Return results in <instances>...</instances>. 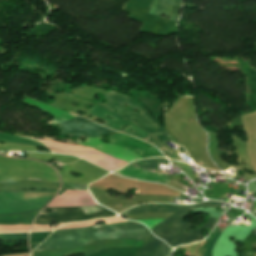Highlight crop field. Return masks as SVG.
<instances>
[{"label": "crop field", "instance_id": "crop-field-9", "mask_svg": "<svg viewBox=\"0 0 256 256\" xmlns=\"http://www.w3.org/2000/svg\"><path fill=\"white\" fill-rule=\"evenodd\" d=\"M183 206L178 205H172V204H146V205H140L135 208H132L125 213L121 214H133V213H140V212H156V211H165V212H172L175 213L179 209H181Z\"/></svg>", "mask_w": 256, "mask_h": 256}, {"label": "crop field", "instance_id": "crop-field-7", "mask_svg": "<svg viewBox=\"0 0 256 256\" xmlns=\"http://www.w3.org/2000/svg\"><path fill=\"white\" fill-rule=\"evenodd\" d=\"M180 9L181 0H154L149 13L159 17L164 13L176 21Z\"/></svg>", "mask_w": 256, "mask_h": 256}, {"label": "crop field", "instance_id": "crop-field-18", "mask_svg": "<svg viewBox=\"0 0 256 256\" xmlns=\"http://www.w3.org/2000/svg\"><path fill=\"white\" fill-rule=\"evenodd\" d=\"M28 233L0 234V239L4 241L27 240Z\"/></svg>", "mask_w": 256, "mask_h": 256}, {"label": "crop field", "instance_id": "crop-field-3", "mask_svg": "<svg viewBox=\"0 0 256 256\" xmlns=\"http://www.w3.org/2000/svg\"><path fill=\"white\" fill-rule=\"evenodd\" d=\"M58 126L61 129L60 134H69L71 136L96 137V136H108L113 133H116L101 125H98L90 120H87L79 116L74 117L70 120H67L59 124ZM80 126H84L85 128L80 129L79 128ZM109 137L111 138L110 143L138 157H141V158H149V157H155V156L164 157L157 149L129 135L117 133ZM109 155L115 156L121 160L128 161V162L135 161L134 158L118 156L113 154H109Z\"/></svg>", "mask_w": 256, "mask_h": 256}, {"label": "crop field", "instance_id": "crop-field-21", "mask_svg": "<svg viewBox=\"0 0 256 256\" xmlns=\"http://www.w3.org/2000/svg\"><path fill=\"white\" fill-rule=\"evenodd\" d=\"M162 220H139V222L144 223L150 230Z\"/></svg>", "mask_w": 256, "mask_h": 256}, {"label": "crop field", "instance_id": "crop-field-11", "mask_svg": "<svg viewBox=\"0 0 256 256\" xmlns=\"http://www.w3.org/2000/svg\"><path fill=\"white\" fill-rule=\"evenodd\" d=\"M40 210L11 216H0V224L31 223Z\"/></svg>", "mask_w": 256, "mask_h": 256}, {"label": "crop field", "instance_id": "crop-field-15", "mask_svg": "<svg viewBox=\"0 0 256 256\" xmlns=\"http://www.w3.org/2000/svg\"><path fill=\"white\" fill-rule=\"evenodd\" d=\"M105 220L107 224L110 223H117V222H129V221H124L120 217H115V218H108V219H101ZM101 220H96V221H90V222H84V223H74V224H67L59 229H66V228H78V227H86V226H91L94 225L96 222L101 221Z\"/></svg>", "mask_w": 256, "mask_h": 256}, {"label": "crop field", "instance_id": "crop-field-17", "mask_svg": "<svg viewBox=\"0 0 256 256\" xmlns=\"http://www.w3.org/2000/svg\"><path fill=\"white\" fill-rule=\"evenodd\" d=\"M51 232L31 233V235H30V245L40 244Z\"/></svg>", "mask_w": 256, "mask_h": 256}, {"label": "crop field", "instance_id": "crop-field-6", "mask_svg": "<svg viewBox=\"0 0 256 256\" xmlns=\"http://www.w3.org/2000/svg\"><path fill=\"white\" fill-rule=\"evenodd\" d=\"M92 197L89 191L61 192L57 198ZM84 205H99L93 198L55 199L48 207H70Z\"/></svg>", "mask_w": 256, "mask_h": 256}, {"label": "crop field", "instance_id": "crop-field-13", "mask_svg": "<svg viewBox=\"0 0 256 256\" xmlns=\"http://www.w3.org/2000/svg\"><path fill=\"white\" fill-rule=\"evenodd\" d=\"M0 141L13 142V143H24V144H30V145H36V146H45V145H43L39 142H36L30 138L10 136V135H6V134H2V133H0Z\"/></svg>", "mask_w": 256, "mask_h": 256}, {"label": "crop field", "instance_id": "crop-field-19", "mask_svg": "<svg viewBox=\"0 0 256 256\" xmlns=\"http://www.w3.org/2000/svg\"><path fill=\"white\" fill-rule=\"evenodd\" d=\"M171 248L166 245L165 242H162L161 247L158 251L157 256H169L171 252Z\"/></svg>", "mask_w": 256, "mask_h": 256}, {"label": "crop field", "instance_id": "crop-field-1", "mask_svg": "<svg viewBox=\"0 0 256 256\" xmlns=\"http://www.w3.org/2000/svg\"><path fill=\"white\" fill-rule=\"evenodd\" d=\"M72 94H75L77 96L90 98L93 100V97L97 94H102L104 96V100H107L106 104L100 102H96L101 107L127 119L132 122H134L139 127L143 128L147 132L154 135L156 138H158L161 142H165L167 140H171L174 142L177 146L181 145L177 140L171 138L159 125H157L152 117V115L139 103L138 101L134 100L132 96L122 93H117L114 91H105L104 89L92 87V86H85L83 88H77L71 91ZM49 95L53 96L56 100L55 103H52L55 106H58L60 108L68 109L73 108L74 110L72 112L76 113L77 111H83L87 112L88 114L83 115L84 117L93 116L92 120H102L105 121L106 125L116 129L120 130L121 126H125V124H129L127 129H124L122 131L127 132L135 137H139L141 139H145L149 136L147 132L141 130L140 128L136 127L135 125L130 124L128 121L120 118L119 116L91 103L88 101H85L83 99L67 96L63 94H53L48 93ZM94 101V100H93ZM70 102L78 103L80 104L79 107L71 106ZM94 105L90 109H86L85 105ZM124 104H128L130 107L126 108L124 107ZM139 110L141 114H136L132 112L133 110ZM71 111V110H70ZM112 116L115 119L110 120L106 118L105 116ZM132 130L133 132H130ZM155 137L151 136L149 137L150 140H146L147 142L153 144L157 148H159L165 155L173 152L174 150L166 146L165 144H162L159 140H157Z\"/></svg>", "mask_w": 256, "mask_h": 256}, {"label": "crop field", "instance_id": "crop-field-16", "mask_svg": "<svg viewBox=\"0 0 256 256\" xmlns=\"http://www.w3.org/2000/svg\"><path fill=\"white\" fill-rule=\"evenodd\" d=\"M30 225H0V233L2 232H24L29 230Z\"/></svg>", "mask_w": 256, "mask_h": 256}, {"label": "crop field", "instance_id": "crop-field-22", "mask_svg": "<svg viewBox=\"0 0 256 256\" xmlns=\"http://www.w3.org/2000/svg\"><path fill=\"white\" fill-rule=\"evenodd\" d=\"M51 149V148H50ZM53 152L55 153H60V154H68V153H65L63 151H59V150H55V149H51Z\"/></svg>", "mask_w": 256, "mask_h": 256}, {"label": "crop field", "instance_id": "crop-field-2", "mask_svg": "<svg viewBox=\"0 0 256 256\" xmlns=\"http://www.w3.org/2000/svg\"><path fill=\"white\" fill-rule=\"evenodd\" d=\"M148 232L147 227L138 222L86 229L56 230L34 251L79 246L105 238L144 240Z\"/></svg>", "mask_w": 256, "mask_h": 256}, {"label": "crop field", "instance_id": "crop-field-10", "mask_svg": "<svg viewBox=\"0 0 256 256\" xmlns=\"http://www.w3.org/2000/svg\"><path fill=\"white\" fill-rule=\"evenodd\" d=\"M140 248L105 249L84 254V256H138Z\"/></svg>", "mask_w": 256, "mask_h": 256}, {"label": "crop field", "instance_id": "crop-field-4", "mask_svg": "<svg viewBox=\"0 0 256 256\" xmlns=\"http://www.w3.org/2000/svg\"><path fill=\"white\" fill-rule=\"evenodd\" d=\"M219 202L207 201L199 204L188 205L183 207L177 213L156 225L151 231L159 238L166 241V243L175 247L181 244L195 243L203 240L206 236H201L204 228L212 229L216 220L209 219V221L202 227L196 230H191L192 225L183 221V217L188 215L190 208L201 206H219ZM189 230V233L186 232Z\"/></svg>", "mask_w": 256, "mask_h": 256}, {"label": "crop field", "instance_id": "crop-field-5", "mask_svg": "<svg viewBox=\"0 0 256 256\" xmlns=\"http://www.w3.org/2000/svg\"><path fill=\"white\" fill-rule=\"evenodd\" d=\"M53 209H58V210L56 212H53V213L40 214V216L107 210V209H105V208H103L101 206L72 207V208H53ZM115 215L116 214L114 212H112V211H104V212H92V213L44 216V217H38V219L35 221V223L48 224V223H51L53 221L76 222V221H84V220H89V219H94V218H102V217L115 216Z\"/></svg>", "mask_w": 256, "mask_h": 256}, {"label": "crop field", "instance_id": "crop-field-8", "mask_svg": "<svg viewBox=\"0 0 256 256\" xmlns=\"http://www.w3.org/2000/svg\"><path fill=\"white\" fill-rule=\"evenodd\" d=\"M118 173H121L124 176L133 177L136 179H144V180H150L155 182L168 183L170 181V177L166 175L147 171L139 167H135L131 164L125 167L123 170L119 171Z\"/></svg>", "mask_w": 256, "mask_h": 256}, {"label": "crop field", "instance_id": "crop-field-12", "mask_svg": "<svg viewBox=\"0 0 256 256\" xmlns=\"http://www.w3.org/2000/svg\"><path fill=\"white\" fill-rule=\"evenodd\" d=\"M161 242V240L155 238L151 233H149L143 249L141 248L142 251L139 256H155Z\"/></svg>", "mask_w": 256, "mask_h": 256}, {"label": "crop field", "instance_id": "crop-field-14", "mask_svg": "<svg viewBox=\"0 0 256 256\" xmlns=\"http://www.w3.org/2000/svg\"><path fill=\"white\" fill-rule=\"evenodd\" d=\"M158 162H162L166 164L169 163V161L165 158H155V159L139 160V161L133 162L132 164L154 171L158 165Z\"/></svg>", "mask_w": 256, "mask_h": 256}, {"label": "crop field", "instance_id": "crop-field-20", "mask_svg": "<svg viewBox=\"0 0 256 256\" xmlns=\"http://www.w3.org/2000/svg\"><path fill=\"white\" fill-rule=\"evenodd\" d=\"M64 223H60L57 227L55 228H50L48 225H40V224H35L32 228V231H45V230H54L61 226Z\"/></svg>", "mask_w": 256, "mask_h": 256}]
</instances>
